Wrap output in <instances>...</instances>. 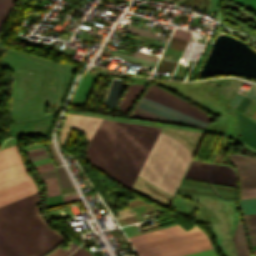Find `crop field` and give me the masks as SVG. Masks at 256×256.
<instances>
[{"label": "crop field", "instance_id": "crop-field-1", "mask_svg": "<svg viewBox=\"0 0 256 256\" xmlns=\"http://www.w3.org/2000/svg\"><path fill=\"white\" fill-rule=\"evenodd\" d=\"M36 189L18 144L0 151V205ZM37 201L36 190L0 206V256H43L65 241L41 219Z\"/></svg>", "mask_w": 256, "mask_h": 256}, {"label": "crop field", "instance_id": "crop-field-2", "mask_svg": "<svg viewBox=\"0 0 256 256\" xmlns=\"http://www.w3.org/2000/svg\"><path fill=\"white\" fill-rule=\"evenodd\" d=\"M161 128L102 119L86 157L122 185L131 187Z\"/></svg>", "mask_w": 256, "mask_h": 256}, {"label": "crop field", "instance_id": "crop-field-3", "mask_svg": "<svg viewBox=\"0 0 256 256\" xmlns=\"http://www.w3.org/2000/svg\"><path fill=\"white\" fill-rule=\"evenodd\" d=\"M192 156L179 142L159 133L138 175L173 196Z\"/></svg>", "mask_w": 256, "mask_h": 256}, {"label": "crop field", "instance_id": "crop-field-4", "mask_svg": "<svg viewBox=\"0 0 256 256\" xmlns=\"http://www.w3.org/2000/svg\"><path fill=\"white\" fill-rule=\"evenodd\" d=\"M140 256H181L212 248L197 227L185 231L179 225L129 237Z\"/></svg>", "mask_w": 256, "mask_h": 256}, {"label": "crop field", "instance_id": "crop-field-5", "mask_svg": "<svg viewBox=\"0 0 256 256\" xmlns=\"http://www.w3.org/2000/svg\"><path fill=\"white\" fill-rule=\"evenodd\" d=\"M133 115L166 121L189 124L193 117L153 102L148 99L140 101Z\"/></svg>", "mask_w": 256, "mask_h": 256}, {"label": "crop field", "instance_id": "crop-field-6", "mask_svg": "<svg viewBox=\"0 0 256 256\" xmlns=\"http://www.w3.org/2000/svg\"><path fill=\"white\" fill-rule=\"evenodd\" d=\"M144 97L149 98L151 100H154L156 102H159L161 104H164L166 106H169L173 109H176L178 111H181L183 113H186L188 115H191L195 117V115H199L207 120H211L213 117L205 114L204 112L198 110L193 105L165 92L164 90L158 88L157 86L151 84L146 93L144 94ZM208 121V122H209Z\"/></svg>", "mask_w": 256, "mask_h": 256}, {"label": "crop field", "instance_id": "crop-field-7", "mask_svg": "<svg viewBox=\"0 0 256 256\" xmlns=\"http://www.w3.org/2000/svg\"><path fill=\"white\" fill-rule=\"evenodd\" d=\"M100 121V118L67 114L59 137L60 143L65 145L71 128H78L89 141Z\"/></svg>", "mask_w": 256, "mask_h": 256}, {"label": "crop field", "instance_id": "crop-field-8", "mask_svg": "<svg viewBox=\"0 0 256 256\" xmlns=\"http://www.w3.org/2000/svg\"><path fill=\"white\" fill-rule=\"evenodd\" d=\"M229 159L238 169L241 188L256 187V158L230 155Z\"/></svg>", "mask_w": 256, "mask_h": 256}, {"label": "crop field", "instance_id": "crop-field-9", "mask_svg": "<svg viewBox=\"0 0 256 256\" xmlns=\"http://www.w3.org/2000/svg\"><path fill=\"white\" fill-rule=\"evenodd\" d=\"M237 256H250L241 219L233 236Z\"/></svg>", "mask_w": 256, "mask_h": 256}, {"label": "crop field", "instance_id": "crop-field-10", "mask_svg": "<svg viewBox=\"0 0 256 256\" xmlns=\"http://www.w3.org/2000/svg\"><path fill=\"white\" fill-rule=\"evenodd\" d=\"M142 88L143 86L130 85L125 95L123 96L119 104V107L127 112V110L129 109V107L131 106V104L133 103V101L135 100V98L137 97Z\"/></svg>", "mask_w": 256, "mask_h": 256}, {"label": "crop field", "instance_id": "crop-field-11", "mask_svg": "<svg viewBox=\"0 0 256 256\" xmlns=\"http://www.w3.org/2000/svg\"><path fill=\"white\" fill-rule=\"evenodd\" d=\"M16 0H0V28Z\"/></svg>", "mask_w": 256, "mask_h": 256}, {"label": "crop field", "instance_id": "crop-field-12", "mask_svg": "<svg viewBox=\"0 0 256 256\" xmlns=\"http://www.w3.org/2000/svg\"><path fill=\"white\" fill-rule=\"evenodd\" d=\"M240 204L244 215L256 213V198L241 200Z\"/></svg>", "mask_w": 256, "mask_h": 256}, {"label": "crop field", "instance_id": "crop-field-13", "mask_svg": "<svg viewBox=\"0 0 256 256\" xmlns=\"http://www.w3.org/2000/svg\"><path fill=\"white\" fill-rule=\"evenodd\" d=\"M56 170L61 188L73 185L64 167Z\"/></svg>", "mask_w": 256, "mask_h": 256}, {"label": "crop field", "instance_id": "crop-field-14", "mask_svg": "<svg viewBox=\"0 0 256 256\" xmlns=\"http://www.w3.org/2000/svg\"><path fill=\"white\" fill-rule=\"evenodd\" d=\"M76 247H77L76 244L69 241L68 242V248H66L65 250L59 248V249L55 250L54 252L50 253L47 256H67Z\"/></svg>", "mask_w": 256, "mask_h": 256}, {"label": "crop field", "instance_id": "crop-field-15", "mask_svg": "<svg viewBox=\"0 0 256 256\" xmlns=\"http://www.w3.org/2000/svg\"><path fill=\"white\" fill-rule=\"evenodd\" d=\"M126 30L129 31V32L135 33V34H139V35H143V36H146V37L166 41L165 39H162V38L151 35L152 34L151 31H147V30H143V29H139V28H135V27H131V26H127Z\"/></svg>", "mask_w": 256, "mask_h": 256}, {"label": "crop field", "instance_id": "crop-field-16", "mask_svg": "<svg viewBox=\"0 0 256 256\" xmlns=\"http://www.w3.org/2000/svg\"><path fill=\"white\" fill-rule=\"evenodd\" d=\"M113 54L121 56V57H125V58H127L128 61H132V62H136V63H140V64L151 65V66H155V64H156V62H153V61L134 58V57H131V56L125 55V54H120V53H116V52H114Z\"/></svg>", "mask_w": 256, "mask_h": 256}, {"label": "crop field", "instance_id": "crop-field-17", "mask_svg": "<svg viewBox=\"0 0 256 256\" xmlns=\"http://www.w3.org/2000/svg\"><path fill=\"white\" fill-rule=\"evenodd\" d=\"M247 220L252 233L254 244L256 245V215H248Z\"/></svg>", "mask_w": 256, "mask_h": 256}, {"label": "crop field", "instance_id": "crop-field-18", "mask_svg": "<svg viewBox=\"0 0 256 256\" xmlns=\"http://www.w3.org/2000/svg\"><path fill=\"white\" fill-rule=\"evenodd\" d=\"M61 204H63L62 199H61V195L52 196V197L47 198V208L57 206V205H61Z\"/></svg>", "mask_w": 256, "mask_h": 256}, {"label": "crop field", "instance_id": "crop-field-19", "mask_svg": "<svg viewBox=\"0 0 256 256\" xmlns=\"http://www.w3.org/2000/svg\"><path fill=\"white\" fill-rule=\"evenodd\" d=\"M253 197H256V188L241 190V199L253 198Z\"/></svg>", "mask_w": 256, "mask_h": 256}, {"label": "crop field", "instance_id": "crop-field-20", "mask_svg": "<svg viewBox=\"0 0 256 256\" xmlns=\"http://www.w3.org/2000/svg\"><path fill=\"white\" fill-rule=\"evenodd\" d=\"M185 256H216V254L213 251V249H210V250H206V251H202V252H198V253H194V254H189V255H185Z\"/></svg>", "mask_w": 256, "mask_h": 256}, {"label": "crop field", "instance_id": "crop-field-21", "mask_svg": "<svg viewBox=\"0 0 256 256\" xmlns=\"http://www.w3.org/2000/svg\"><path fill=\"white\" fill-rule=\"evenodd\" d=\"M243 96L239 95L236 93V95L234 96V98L231 100L230 105H232L233 107L236 108V106L238 105V103L240 102V100L242 99Z\"/></svg>", "mask_w": 256, "mask_h": 256}, {"label": "crop field", "instance_id": "crop-field-22", "mask_svg": "<svg viewBox=\"0 0 256 256\" xmlns=\"http://www.w3.org/2000/svg\"><path fill=\"white\" fill-rule=\"evenodd\" d=\"M46 188H47V195L60 191L58 184L52 185V186H48Z\"/></svg>", "mask_w": 256, "mask_h": 256}, {"label": "crop field", "instance_id": "crop-field-23", "mask_svg": "<svg viewBox=\"0 0 256 256\" xmlns=\"http://www.w3.org/2000/svg\"><path fill=\"white\" fill-rule=\"evenodd\" d=\"M79 199L80 198H79L78 194L63 197V200H64L65 203L75 201V200H79Z\"/></svg>", "mask_w": 256, "mask_h": 256}, {"label": "crop field", "instance_id": "crop-field-24", "mask_svg": "<svg viewBox=\"0 0 256 256\" xmlns=\"http://www.w3.org/2000/svg\"><path fill=\"white\" fill-rule=\"evenodd\" d=\"M246 96H249L251 98L256 99V85L253 84V86L250 88V90L247 92Z\"/></svg>", "mask_w": 256, "mask_h": 256}, {"label": "crop field", "instance_id": "crop-field-25", "mask_svg": "<svg viewBox=\"0 0 256 256\" xmlns=\"http://www.w3.org/2000/svg\"><path fill=\"white\" fill-rule=\"evenodd\" d=\"M47 157H48L47 153H44L40 155L31 156L29 158H30V161H33V160H38V159L47 158Z\"/></svg>", "mask_w": 256, "mask_h": 256}, {"label": "crop field", "instance_id": "crop-field-26", "mask_svg": "<svg viewBox=\"0 0 256 256\" xmlns=\"http://www.w3.org/2000/svg\"><path fill=\"white\" fill-rule=\"evenodd\" d=\"M40 176H41L42 179H45V178H49V177H54V176H56V175H55V172L52 171V172L40 174Z\"/></svg>", "mask_w": 256, "mask_h": 256}, {"label": "crop field", "instance_id": "crop-field-27", "mask_svg": "<svg viewBox=\"0 0 256 256\" xmlns=\"http://www.w3.org/2000/svg\"><path fill=\"white\" fill-rule=\"evenodd\" d=\"M43 181H44L45 185L58 182L56 177L50 178V179H45V180H43Z\"/></svg>", "mask_w": 256, "mask_h": 256}, {"label": "crop field", "instance_id": "crop-field-28", "mask_svg": "<svg viewBox=\"0 0 256 256\" xmlns=\"http://www.w3.org/2000/svg\"><path fill=\"white\" fill-rule=\"evenodd\" d=\"M132 56H134V57H139V58L150 59V60H155V61L158 60V59H156V58H152V57H148V56H144V55H140V54H136V53H133Z\"/></svg>", "mask_w": 256, "mask_h": 256}, {"label": "crop field", "instance_id": "crop-field-29", "mask_svg": "<svg viewBox=\"0 0 256 256\" xmlns=\"http://www.w3.org/2000/svg\"><path fill=\"white\" fill-rule=\"evenodd\" d=\"M84 249L79 248L77 251H75L71 256H78L81 252H83Z\"/></svg>", "mask_w": 256, "mask_h": 256}, {"label": "crop field", "instance_id": "crop-field-30", "mask_svg": "<svg viewBox=\"0 0 256 256\" xmlns=\"http://www.w3.org/2000/svg\"><path fill=\"white\" fill-rule=\"evenodd\" d=\"M45 150H42V151H38V152H33V153H29L27 154L28 156H31V155H35V154H40V153H44Z\"/></svg>", "mask_w": 256, "mask_h": 256}, {"label": "crop field", "instance_id": "crop-field-31", "mask_svg": "<svg viewBox=\"0 0 256 256\" xmlns=\"http://www.w3.org/2000/svg\"><path fill=\"white\" fill-rule=\"evenodd\" d=\"M79 256H91V254L85 250V251H84L83 253H81Z\"/></svg>", "mask_w": 256, "mask_h": 256}, {"label": "crop field", "instance_id": "crop-field-32", "mask_svg": "<svg viewBox=\"0 0 256 256\" xmlns=\"http://www.w3.org/2000/svg\"><path fill=\"white\" fill-rule=\"evenodd\" d=\"M53 169H54V167L48 168V169L39 170L38 173L49 171V170H53Z\"/></svg>", "mask_w": 256, "mask_h": 256}, {"label": "crop field", "instance_id": "crop-field-33", "mask_svg": "<svg viewBox=\"0 0 256 256\" xmlns=\"http://www.w3.org/2000/svg\"><path fill=\"white\" fill-rule=\"evenodd\" d=\"M250 118L256 121V110L254 111Z\"/></svg>", "mask_w": 256, "mask_h": 256}, {"label": "crop field", "instance_id": "crop-field-34", "mask_svg": "<svg viewBox=\"0 0 256 256\" xmlns=\"http://www.w3.org/2000/svg\"><path fill=\"white\" fill-rule=\"evenodd\" d=\"M52 163H50V164H46V165H44L45 166V168H47V167H51L52 165H51Z\"/></svg>", "mask_w": 256, "mask_h": 256}, {"label": "crop field", "instance_id": "crop-field-35", "mask_svg": "<svg viewBox=\"0 0 256 256\" xmlns=\"http://www.w3.org/2000/svg\"><path fill=\"white\" fill-rule=\"evenodd\" d=\"M42 148H43V147L36 148V149H32V150H28V151H33V150L42 149ZM28 151H25V152H28Z\"/></svg>", "mask_w": 256, "mask_h": 256}, {"label": "crop field", "instance_id": "crop-field-36", "mask_svg": "<svg viewBox=\"0 0 256 256\" xmlns=\"http://www.w3.org/2000/svg\"><path fill=\"white\" fill-rule=\"evenodd\" d=\"M35 145H40V144H34V145H31V146H35ZM28 147H30V146H28ZM25 148V147H24Z\"/></svg>", "mask_w": 256, "mask_h": 256}, {"label": "crop field", "instance_id": "crop-field-37", "mask_svg": "<svg viewBox=\"0 0 256 256\" xmlns=\"http://www.w3.org/2000/svg\"><path fill=\"white\" fill-rule=\"evenodd\" d=\"M255 252V255H256V251H254Z\"/></svg>", "mask_w": 256, "mask_h": 256}, {"label": "crop field", "instance_id": "crop-field-38", "mask_svg": "<svg viewBox=\"0 0 256 256\" xmlns=\"http://www.w3.org/2000/svg\"><path fill=\"white\" fill-rule=\"evenodd\" d=\"M59 194V193H58ZM55 195V194H54ZM51 196V195H50Z\"/></svg>", "mask_w": 256, "mask_h": 256}, {"label": "crop field", "instance_id": "crop-field-39", "mask_svg": "<svg viewBox=\"0 0 256 256\" xmlns=\"http://www.w3.org/2000/svg\"><path fill=\"white\" fill-rule=\"evenodd\" d=\"M38 151V150H37ZM29 153V152H28Z\"/></svg>", "mask_w": 256, "mask_h": 256}]
</instances>
